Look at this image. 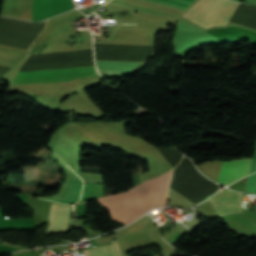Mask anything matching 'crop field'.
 Segmentation results:
<instances>
[{"instance_id": "8a807250", "label": "crop field", "mask_w": 256, "mask_h": 256, "mask_svg": "<svg viewBox=\"0 0 256 256\" xmlns=\"http://www.w3.org/2000/svg\"><path fill=\"white\" fill-rule=\"evenodd\" d=\"M171 171L142 182L124 193L99 198L118 219L128 223L146 211L163 206Z\"/></svg>"}, {"instance_id": "ac0d7876", "label": "crop field", "mask_w": 256, "mask_h": 256, "mask_svg": "<svg viewBox=\"0 0 256 256\" xmlns=\"http://www.w3.org/2000/svg\"><path fill=\"white\" fill-rule=\"evenodd\" d=\"M237 6L229 0H198L182 17L206 29L226 26Z\"/></svg>"}, {"instance_id": "34b2d1b8", "label": "crop field", "mask_w": 256, "mask_h": 256, "mask_svg": "<svg viewBox=\"0 0 256 256\" xmlns=\"http://www.w3.org/2000/svg\"><path fill=\"white\" fill-rule=\"evenodd\" d=\"M99 76L95 67L18 73L13 84L70 81L73 78Z\"/></svg>"}, {"instance_id": "412701ff", "label": "crop field", "mask_w": 256, "mask_h": 256, "mask_svg": "<svg viewBox=\"0 0 256 256\" xmlns=\"http://www.w3.org/2000/svg\"><path fill=\"white\" fill-rule=\"evenodd\" d=\"M220 191L225 193L231 192L229 189H222ZM225 193L218 192L208 199L216 209L219 216L241 212V193L235 191H232L229 194Z\"/></svg>"}, {"instance_id": "f4fd0767", "label": "crop field", "mask_w": 256, "mask_h": 256, "mask_svg": "<svg viewBox=\"0 0 256 256\" xmlns=\"http://www.w3.org/2000/svg\"><path fill=\"white\" fill-rule=\"evenodd\" d=\"M251 159L228 160L223 162L218 183L229 184L246 175L250 170Z\"/></svg>"}, {"instance_id": "dd49c442", "label": "crop field", "mask_w": 256, "mask_h": 256, "mask_svg": "<svg viewBox=\"0 0 256 256\" xmlns=\"http://www.w3.org/2000/svg\"><path fill=\"white\" fill-rule=\"evenodd\" d=\"M70 208L71 207L52 204L46 230H67L69 224Z\"/></svg>"}, {"instance_id": "e52e79f7", "label": "crop field", "mask_w": 256, "mask_h": 256, "mask_svg": "<svg viewBox=\"0 0 256 256\" xmlns=\"http://www.w3.org/2000/svg\"><path fill=\"white\" fill-rule=\"evenodd\" d=\"M84 253V251H83ZM86 256H122L118 242L85 250ZM84 253V256H85Z\"/></svg>"}, {"instance_id": "d8731c3e", "label": "crop field", "mask_w": 256, "mask_h": 256, "mask_svg": "<svg viewBox=\"0 0 256 256\" xmlns=\"http://www.w3.org/2000/svg\"><path fill=\"white\" fill-rule=\"evenodd\" d=\"M246 184H247V188H246L245 192H249V193L256 192V173L248 176ZM245 187H246V185H245Z\"/></svg>"}, {"instance_id": "5a996713", "label": "crop field", "mask_w": 256, "mask_h": 256, "mask_svg": "<svg viewBox=\"0 0 256 256\" xmlns=\"http://www.w3.org/2000/svg\"><path fill=\"white\" fill-rule=\"evenodd\" d=\"M92 185L93 184L85 183L82 198H81V201H79V202L86 201V200L89 199V195H90V192H91V189H92Z\"/></svg>"}, {"instance_id": "3316defc", "label": "crop field", "mask_w": 256, "mask_h": 256, "mask_svg": "<svg viewBox=\"0 0 256 256\" xmlns=\"http://www.w3.org/2000/svg\"><path fill=\"white\" fill-rule=\"evenodd\" d=\"M255 169H256V165H255Z\"/></svg>"}]
</instances>
